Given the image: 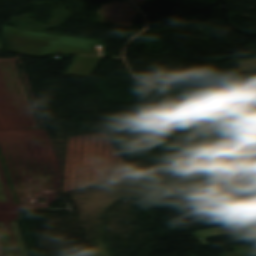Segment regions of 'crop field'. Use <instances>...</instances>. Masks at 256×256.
Returning a JSON list of instances; mask_svg holds the SVG:
<instances>
[{
    "instance_id": "crop-field-1",
    "label": "crop field",
    "mask_w": 256,
    "mask_h": 256,
    "mask_svg": "<svg viewBox=\"0 0 256 256\" xmlns=\"http://www.w3.org/2000/svg\"><path fill=\"white\" fill-rule=\"evenodd\" d=\"M134 173L111 146L107 134L69 138L62 192Z\"/></svg>"
},
{
    "instance_id": "crop-field-2",
    "label": "crop field",
    "mask_w": 256,
    "mask_h": 256,
    "mask_svg": "<svg viewBox=\"0 0 256 256\" xmlns=\"http://www.w3.org/2000/svg\"><path fill=\"white\" fill-rule=\"evenodd\" d=\"M3 37L10 52L47 56L57 54H82L103 56L100 41L51 35L3 26Z\"/></svg>"
},
{
    "instance_id": "crop-field-3",
    "label": "crop field",
    "mask_w": 256,
    "mask_h": 256,
    "mask_svg": "<svg viewBox=\"0 0 256 256\" xmlns=\"http://www.w3.org/2000/svg\"><path fill=\"white\" fill-rule=\"evenodd\" d=\"M236 129L237 131H233ZM222 136H225L222 138ZM215 148L218 156L220 150L227 159H220L233 164L239 161L256 158V142L243 128H233L218 134L217 138L209 143Z\"/></svg>"
},
{
    "instance_id": "crop-field-4",
    "label": "crop field",
    "mask_w": 256,
    "mask_h": 256,
    "mask_svg": "<svg viewBox=\"0 0 256 256\" xmlns=\"http://www.w3.org/2000/svg\"><path fill=\"white\" fill-rule=\"evenodd\" d=\"M218 169L222 175L226 188H236L242 195L251 194L244 179L256 177V169L250 170V175L241 176L236 164L220 165Z\"/></svg>"
},
{
    "instance_id": "crop-field-5",
    "label": "crop field",
    "mask_w": 256,
    "mask_h": 256,
    "mask_svg": "<svg viewBox=\"0 0 256 256\" xmlns=\"http://www.w3.org/2000/svg\"><path fill=\"white\" fill-rule=\"evenodd\" d=\"M251 220L253 222H250ZM251 220H243L245 224L233 226L235 229L248 227L251 233L240 234V235L228 234L223 231V228H217V229L199 231V232L194 233V235L202 243V245L204 247L210 246V244L206 241V239L219 237V236H225V235L232 236L236 241L245 240L246 237H250L253 240H256V220H253V219H251ZM252 229H254V230H252Z\"/></svg>"
},
{
    "instance_id": "crop-field-6",
    "label": "crop field",
    "mask_w": 256,
    "mask_h": 256,
    "mask_svg": "<svg viewBox=\"0 0 256 256\" xmlns=\"http://www.w3.org/2000/svg\"><path fill=\"white\" fill-rule=\"evenodd\" d=\"M103 58L104 57L76 56L66 74L90 77Z\"/></svg>"
},
{
    "instance_id": "crop-field-7",
    "label": "crop field",
    "mask_w": 256,
    "mask_h": 256,
    "mask_svg": "<svg viewBox=\"0 0 256 256\" xmlns=\"http://www.w3.org/2000/svg\"><path fill=\"white\" fill-rule=\"evenodd\" d=\"M248 204L242 205L243 208L238 209L236 206H233V211L237 210L243 219L249 218V215L253 218L256 216V200L254 196H243Z\"/></svg>"
},
{
    "instance_id": "crop-field-8",
    "label": "crop field",
    "mask_w": 256,
    "mask_h": 256,
    "mask_svg": "<svg viewBox=\"0 0 256 256\" xmlns=\"http://www.w3.org/2000/svg\"><path fill=\"white\" fill-rule=\"evenodd\" d=\"M235 252L222 254V256H256V249L251 246L242 245L232 248Z\"/></svg>"
},
{
    "instance_id": "crop-field-9",
    "label": "crop field",
    "mask_w": 256,
    "mask_h": 256,
    "mask_svg": "<svg viewBox=\"0 0 256 256\" xmlns=\"http://www.w3.org/2000/svg\"><path fill=\"white\" fill-rule=\"evenodd\" d=\"M240 65V74L256 71V58L237 61Z\"/></svg>"
},
{
    "instance_id": "crop-field-10",
    "label": "crop field",
    "mask_w": 256,
    "mask_h": 256,
    "mask_svg": "<svg viewBox=\"0 0 256 256\" xmlns=\"http://www.w3.org/2000/svg\"><path fill=\"white\" fill-rule=\"evenodd\" d=\"M245 181H246V180H245ZM246 183H247V185H248V187H249L251 193H252V194H256V192H255L256 187H255L254 183L251 181V179H249L248 181H246Z\"/></svg>"
},
{
    "instance_id": "crop-field-11",
    "label": "crop field",
    "mask_w": 256,
    "mask_h": 256,
    "mask_svg": "<svg viewBox=\"0 0 256 256\" xmlns=\"http://www.w3.org/2000/svg\"><path fill=\"white\" fill-rule=\"evenodd\" d=\"M256 119V116H253V117H250V118H248V119H245V120H243V121H241V122H238V123H236V124H240V125H244V126H246V125H251V124H256V122H253V123H249V124H246L245 122H247V121H251V120H255Z\"/></svg>"
},
{
    "instance_id": "crop-field-12",
    "label": "crop field",
    "mask_w": 256,
    "mask_h": 256,
    "mask_svg": "<svg viewBox=\"0 0 256 256\" xmlns=\"http://www.w3.org/2000/svg\"><path fill=\"white\" fill-rule=\"evenodd\" d=\"M256 121V120H255ZM252 122V121H251ZM248 123V122H247ZM248 128H250L256 135V125H251V126H247Z\"/></svg>"
},
{
    "instance_id": "crop-field-13",
    "label": "crop field",
    "mask_w": 256,
    "mask_h": 256,
    "mask_svg": "<svg viewBox=\"0 0 256 256\" xmlns=\"http://www.w3.org/2000/svg\"><path fill=\"white\" fill-rule=\"evenodd\" d=\"M8 62L7 59H0V63Z\"/></svg>"
}]
</instances>
